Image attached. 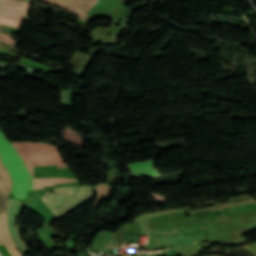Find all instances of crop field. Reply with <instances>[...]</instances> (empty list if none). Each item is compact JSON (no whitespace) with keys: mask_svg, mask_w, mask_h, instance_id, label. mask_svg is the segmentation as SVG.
Returning <instances> with one entry per match:
<instances>
[{"mask_svg":"<svg viewBox=\"0 0 256 256\" xmlns=\"http://www.w3.org/2000/svg\"><path fill=\"white\" fill-rule=\"evenodd\" d=\"M0 159L12 177V192L16 198L25 199L26 190L32 189L28 171L12 145L0 130Z\"/></svg>","mask_w":256,"mask_h":256,"instance_id":"1","label":"crop field"},{"mask_svg":"<svg viewBox=\"0 0 256 256\" xmlns=\"http://www.w3.org/2000/svg\"><path fill=\"white\" fill-rule=\"evenodd\" d=\"M50 191H54L55 193L50 194ZM90 198H92V187H58L46 191L43 195V200L58 218L72 211ZM56 199L57 201L54 203L53 201Z\"/></svg>","mask_w":256,"mask_h":256,"instance_id":"2","label":"crop field"},{"mask_svg":"<svg viewBox=\"0 0 256 256\" xmlns=\"http://www.w3.org/2000/svg\"><path fill=\"white\" fill-rule=\"evenodd\" d=\"M12 144L18 150L31 175V165L58 164L59 167L66 166L58 149L51 145L30 142H16Z\"/></svg>","mask_w":256,"mask_h":256,"instance_id":"3","label":"crop field"},{"mask_svg":"<svg viewBox=\"0 0 256 256\" xmlns=\"http://www.w3.org/2000/svg\"><path fill=\"white\" fill-rule=\"evenodd\" d=\"M11 180L0 161V191L10 192ZM9 193L0 192V217L6 216V204ZM4 243L12 256H22L13 244L7 229L6 217L0 218V244Z\"/></svg>","mask_w":256,"mask_h":256,"instance_id":"4","label":"crop field"},{"mask_svg":"<svg viewBox=\"0 0 256 256\" xmlns=\"http://www.w3.org/2000/svg\"><path fill=\"white\" fill-rule=\"evenodd\" d=\"M31 3L32 0H1L0 16L30 22L28 13ZM20 15L26 16V19Z\"/></svg>","mask_w":256,"mask_h":256,"instance_id":"5","label":"crop field"},{"mask_svg":"<svg viewBox=\"0 0 256 256\" xmlns=\"http://www.w3.org/2000/svg\"><path fill=\"white\" fill-rule=\"evenodd\" d=\"M17 204H18V200L9 199L8 230L14 243L17 245L19 249H21L26 247V245L23 243L21 239V233H20L21 224H19L16 229L14 228V220L16 218V213H17Z\"/></svg>","mask_w":256,"mask_h":256,"instance_id":"6","label":"crop field"},{"mask_svg":"<svg viewBox=\"0 0 256 256\" xmlns=\"http://www.w3.org/2000/svg\"><path fill=\"white\" fill-rule=\"evenodd\" d=\"M79 181L69 178H40L34 179V189L42 188L43 186L55 185L60 183Z\"/></svg>","mask_w":256,"mask_h":256,"instance_id":"7","label":"crop field"},{"mask_svg":"<svg viewBox=\"0 0 256 256\" xmlns=\"http://www.w3.org/2000/svg\"><path fill=\"white\" fill-rule=\"evenodd\" d=\"M41 1L51 3V4L57 6L61 9H64V10H66V11H68V12H70V13H72V14H74V15H76V16L84 19V20H86V17H87L86 13H84V12H82V11L64 3V2H61V1H58V0H41Z\"/></svg>","mask_w":256,"mask_h":256,"instance_id":"8","label":"crop field"},{"mask_svg":"<svg viewBox=\"0 0 256 256\" xmlns=\"http://www.w3.org/2000/svg\"><path fill=\"white\" fill-rule=\"evenodd\" d=\"M66 1L73 6L88 12L98 0H63Z\"/></svg>","mask_w":256,"mask_h":256,"instance_id":"9","label":"crop field"},{"mask_svg":"<svg viewBox=\"0 0 256 256\" xmlns=\"http://www.w3.org/2000/svg\"><path fill=\"white\" fill-rule=\"evenodd\" d=\"M105 189H106V185L96 186L95 192L97 193V196H96L93 210L97 211L100 202L105 199Z\"/></svg>","mask_w":256,"mask_h":256,"instance_id":"10","label":"crop field"},{"mask_svg":"<svg viewBox=\"0 0 256 256\" xmlns=\"http://www.w3.org/2000/svg\"><path fill=\"white\" fill-rule=\"evenodd\" d=\"M154 161L155 160L149 161V162L131 164V165H128V167H129L131 172L139 171V170H144V169H150V168L153 167Z\"/></svg>","mask_w":256,"mask_h":256,"instance_id":"11","label":"crop field"},{"mask_svg":"<svg viewBox=\"0 0 256 256\" xmlns=\"http://www.w3.org/2000/svg\"><path fill=\"white\" fill-rule=\"evenodd\" d=\"M159 174L160 173H159V171L157 169L132 173V175L136 179L143 178V177H149V176H155V175H159Z\"/></svg>","mask_w":256,"mask_h":256,"instance_id":"12","label":"crop field"},{"mask_svg":"<svg viewBox=\"0 0 256 256\" xmlns=\"http://www.w3.org/2000/svg\"><path fill=\"white\" fill-rule=\"evenodd\" d=\"M0 31L10 34L11 32H18L19 29L18 28H14V27H9V26H4V25H0Z\"/></svg>","mask_w":256,"mask_h":256,"instance_id":"13","label":"crop field"},{"mask_svg":"<svg viewBox=\"0 0 256 256\" xmlns=\"http://www.w3.org/2000/svg\"><path fill=\"white\" fill-rule=\"evenodd\" d=\"M0 40L15 45V41H12L8 36L0 33Z\"/></svg>","mask_w":256,"mask_h":256,"instance_id":"14","label":"crop field"},{"mask_svg":"<svg viewBox=\"0 0 256 256\" xmlns=\"http://www.w3.org/2000/svg\"><path fill=\"white\" fill-rule=\"evenodd\" d=\"M110 194H111V187L108 185V189H107V199L106 201H108L109 197H110Z\"/></svg>","mask_w":256,"mask_h":256,"instance_id":"15","label":"crop field"}]
</instances>
